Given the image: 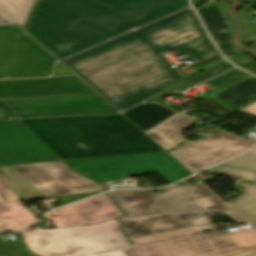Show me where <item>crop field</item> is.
Returning a JSON list of instances; mask_svg holds the SVG:
<instances>
[{
	"label": "crop field",
	"mask_w": 256,
	"mask_h": 256,
	"mask_svg": "<svg viewBox=\"0 0 256 256\" xmlns=\"http://www.w3.org/2000/svg\"><path fill=\"white\" fill-rule=\"evenodd\" d=\"M167 51L202 64L221 57L187 8L62 62L124 110L182 81Z\"/></svg>",
	"instance_id": "crop-field-1"
},
{
	"label": "crop field",
	"mask_w": 256,
	"mask_h": 256,
	"mask_svg": "<svg viewBox=\"0 0 256 256\" xmlns=\"http://www.w3.org/2000/svg\"><path fill=\"white\" fill-rule=\"evenodd\" d=\"M186 6V0H39L25 29L64 58Z\"/></svg>",
	"instance_id": "crop-field-2"
},
{
	"label": "crop field",
	"mask_w": 256,
	"mask_h": 256,
	"mask_svg": "<svg viewBox=\"0 0 256 256\" xmlns=\"http://www.w3.org/2000/svg\"><path fill=\"white\" fill-rule=\"evenodd\" d=\"M111 198L127 215L119 218L128 238L197 226L210 216L225 213L234 222H246L200 183L174 185L161 193L114 191Z\"/></svg>",
	"instance_id": "crop-field-3"
},
{
	"label": "crop field",
	"mask_w": 256,
	"mask_h": 256,
	"mask_svg": "<svg viewBox=\"0 0 256 256\" xmlns=\"http://www.w3.org/2000/svg\"><path fill=\"white\" fill-rule=\"evenodd\" d=\"M20 121L62 159L162 151L120 114Z\"/></svg>",
	"instance_id": "crop-field-4"
},
{
	"label": "crop field",
	"mask_w": 256,
	"mask_h": 256,
	"mask_svg": "<svg viewBox=\"0 0 256 256\" xmlns=\"http://www.w3.org/2000/svg\"><path fill=\"white\" fill-rule=\"evenodd\" d=\"M114 219L98 225L23 232L33 252L42 256H79L131 246Z\"/></svg>",
	"instance_id": "crop-field-5"
},
{
	"label": "crop field",
	"mask_w": 256,
	"mask_h": 256,
	"mask_svg": "<svg viewBox=\"0 0 256 256\" xmlns=\"http://www.w3.org/2000/svg\"><path fill=\"white\" fill-rule=\"evenodd\" d=\"M254 228V227H253ZM253 228L199 232L123 249L127 256H234L256 249Z\"/></svg>",
	"instance_id": "crop-field-6"
},
{
	"label": "crop field",
	"mask_w": 256,
	"mask_h": 256,
	"mask_svg": "<svg viewBox=\"0 0 256 256\" xmlns=\"http://www.w3.org/2000/svg\"><path fill=\"white\" fill-rule=\"evenodd\" d=\"M169 155V154H168ZM165 152L64 161L73 170L98 182L155 172L172 183L190 175Z\"/></svg>",
	"instance_id": "crop-field-7"
},
{
	"label": "crop field",
	"mask_w": 256,
	"mask_h": 256,
	"mask_svg": "<svg viewBox=\"0 0 256 256\" xmlns=\"http://www.w3.org/2000/svg\"><path fill=\"white\" fill-rule=\"evenodd\" d=\"M13 166L28 183L46 197L94 192L104 189L103 186L73 172L62 161Z\"/></svg>",
	"instance_id": "crop-field-8"
},
{
	"label": "crop field",
	"mask_w": 256,
	"mask_h": 256,
	"mask_svg": "<svg viewBox=\"0 0 256 256\" xmlns=\"http://www.w3.org/2000/svg\"><path fill=\"white\" fill-rule=\"evenodd\" d=\"M17 118L117 113L99 95L4 100Z\"/></svg>",
	"instance_id": "crop-field-9"
},
{
	"label": "crop field",
	"mask_w": 256,
	"mask_h": 256,
	"mask_svg": "<svg viewBox=\"0 0 256 256\" xmlns=\"http://www.w3.org/2000/svg\"><path fill=\"white\" fill-rule=\"evenodd\" d=\"M254 146L256 145L219 131L169 154L194 174Z\"/></svg>",
	"instance_id": "crop-field-10"
},
{
	"label": "crop field",
	"mask_w": 256,
	"mask_h": 256,
	"mask_svg": "<svg viewBox=\"0 0 256 256\" xmlns=\"http://www.w3.org/2000/svg\"><path fill=\"white\" fill-rule=\"evenodd\" d=\"M59 160L18 120L0 122V165Z\"/></svg>",
	"instance_id": "crop-field-11"
},
{
	"label": "crop field",
	"mask_w": 256,
	"mask_h": 256,
	"mask_svg": "<svg viewBox=\"0 0 256 256\" xmlns=\"http://www.w3.org/2000/svg\"><path fill=\"white\" fill-rule=\"evenodd\" d=\"M95 93L77 77L5 81L0 98Z\"/></svg>",
	"instance_id": "crop-field-12"
},
{
	"label": "crop field",
	"mask_w": 256,
	"mask_h": 256,
	"mask_svg": "<svg viewBox=\"0 0 256 256\" xmlns=\"http://www.w3.org/2000/svg\"><path fill=\"white\" fill-rule=\"evenodd\" d=\"M121 215L124 214L104 194L58 209L45 216V218L54 220V227H67L95 224Z\"/></svg>",
	"instance_id": "crop-field-13"
},
{
	"label": "crop field",
	"mask_w": 256,
	"mask_h": 256,
	"mask_svg": "<svg viewBox=\"0 0 256 256\" xmlns=\"http://www.w3.org/2000/svg\"><path fill=\"white\" fill-rule=\"evenodd\" d=\"M223 165L256 171V150L226 162ZM208 172L252 181L251 186L239 191L240 193H244L243 195L227 202V204L248 221L256 218V173L223 166H219Z\"/></svg>",
	"instance_id": "crop-field-14"
},
{
	"label": "crop field",
	"mask_w": 256,
	"mask_h": 256,
	"mask_svg": "<svg viewBox=\"0 0 256 256\" xmlns=\"http://www.w3.org/2000/svg\"><path fill=\"white\" fill-rule=\"evenodd\" d=\"M56 61L23 32L6 78L47 76Z\"/></svg>",
	"instance_id": "crop-field-15"
},
{
	"label": "crop field",
	"mask_w": 256,
	"mask_h": 256,
	"mask_svg": "<svg viewBox=\"0 0 256 256\" xmlns=\"http://www.w3.org/2000/svg\"><path fill=\"white\" fill-rule=\"evenodd\" d=\"M224 6L217 2L212 5L197 9L198 14L205 23L210 35L226 55V57L238 53L232 46V29L230 22L224 17Z\"/></svg>",
	"instance_id": "crop-field-16"
},
{
	"label": "crop field",
	"mask_w": 256,
	"mask_h": 256,
	"mask_svg": "<svg viewBox=\"0 0 256 256\" xmlns=\"http://www.w3.org/2000/svg\"><path fill=\"white\" fill-rule=\"evenodd\" d=\"M192 121L193 119L176 113L157 126L146 131L145 134L166 151L170 147L186 140L182 134V130Z\"/></svg>",
	"instance_id": "crop-field-17"
},
{
	"label": "crop field",
	"mask_w": 256,
	"mask_h": 256,
	"mask_svg": "<svg viewBox=\"0 0 256 256\" xmlns=\"http://www.w3.org/2000/svg\"><path fill=\"white\" fill-rule=\"evenodd\" d=\"M0 194L7 201L44 197L28 184L12 165L0 166Z\"/></svg>",
	"instance_id": "crop-field-18"
},
{
	"label": "crop field",
	"mask_w": 256,
	"mask_h": 256,
	"mask_svg": "<svg viewBox=\"0 0 256 256\" xmlns=\"http://www.w3.org/2000/svg\"><path fill=\"white\" fill-rule=\"evenodd\" d=\"M210 100L236 112L256 101V77L250 75Z\"/></svg>",
	"instance_id": "crop-field-19"
},
{
	"label": "crop field",
	"mask_w": 256,
	"mask_h": 256,
	"mask_svg": "<svg viewBox=\"0 0 256 256\" xmlns=\"http://www.w3.org/2000/svg\"><path fill=\"white\" fill-rule=\"evenodd\" d=\"M174 113L160 105L148 103L125 111L122 114L144 132Z\"/></svg>",
	"instance_id": "crop-field-20"
},
{
	"label": "crop field",
	"mask_w": 256,
	"mask_h": 256,
	"mask_svg": "<svg viewBox=\"0 0 256 256\" xmlns=\"http://www.w3.org/2000/svg\"><path fill=\"white\" fill-rule=\"evenodd\" d=\"M36 221L20 202L0 204V231L25 228Z\"/></svg>",
	"instance_id": "crop-field-21"
},
{
	"label": "crop field",
	"mask_w": 256,
	"mask_h": 256,
	"mask_svg": "<svg viewBox=\"0 0 256 256\" xmlns=\"http://www.w3.org/2000/svg\"><path fill=\"white\" fill-rule=\"evenodd\" d=\"M248 75L249 74L241 70L233 69L225 74H222L216 78L205 82V84L208 85L205 88H207L208 90L203 93L198 91L192 97L195 99L206 101L207 99H210L214 95L218 94L219 92L235 84L236 82L240 81Z\"/></svg>",
	"instance_id": "crop-field-22"
},
{
	"label": "crop field",
	"mask_w": 256,
	"mask_h": 256,
	"mask_svg": "<svg viewBox=\"0 0 256 256\" xmlns=\"http://www.w3.org/2000/svg\"><path fill=\"white\" fill-rule=\"evenodd\" d=\"M35 0H0V12L18 25H23L31 5ZM0 14V24H10Z\"/></svg>",
	"instance_id": "crop-field-23"
},
{
	"label": "crop field",
	"mask_w": 256,
	"mask_h": 256,
	"mask_svg": "<svg viewBox=\"0 0 256 256\" xmlns=\"http://www.w3.org/2000/svg\"><path fill=\"white\" fill-rule=\"evenodd\" d=\"M19 30L16 26L0 27V78H4Z\"/></svg>",
	"instance_id": "crop-field-24"
},
{
	"label": "crop field",
	"mask_w": 256,
	"mask_h": 256,
	"mask_svg": "<svg viewBox=\"0 0 256 256\" xmlns=\"http://www.w3.org/2000/svg\"><path fill=\"white\" fill-rule=\"evenodd\" d=\"M233 67L234 66L225 62V63H223V64H221V65H219V66H217V67H215V68H213V69H211V70H209V71H207V72H205V73H203V74H201V75H199V76H197V77H195V78H193V79H191L187 82H184V83H182V84H180V85H178V86H176V87H174V88H172V89H170V90H168V91H166V92H164V93H162V94H160V95H158V96H156V97H154V98H152L148 101H156L165 94L180 93V92H182V91H184V90H186V89H188V88H190V87H192V86H194L198 83H201V82H203V81H205V80H207V79H209V78H211V77H213V76H215V75H217L221 72H224L228 69H231Z\"/></svg>",
	"instance_id": "crop-field-25"
},
{
	"label": "crop field",
	"mask_w": 256,
	"mask_h": 256,
	"mask_svg": "<svg viewBox=\"0 0 256 256\" xmlns=\"http://www.w3.org/2000/svg\"><path fill=\"white\" fill-rule=\"evenodd\" d=\"M214 228L215 227L211 223H209V224L202 225V226H197V227H192V228H187V229H181V230H176V231H170V232L150 235V236L137 238V239H131V241L133 242L134 245H137V244H142V243H146V242L166 239V238H170V237L190 234V233L209 230V229H214Z\"/></svg>",
	"instance_id": "crop-field-26"
},
{
	"label": "crop field",
	"mask_w": 256,
	"mask_h": 256,
	"mask_svg": "<svg viewBox=\"0 0 256 256\" xmlns=\"http://www.w3.org/2000/svg\"><path fill=\"white\" fill-rule=\"evenodd\" d=\"M247 7L237 11L238 17L243 23V43L256 40V19L245 12Z\"/></svg>",
	"instance_id": "crop-field-27"
},
{
	"label": "crop field",
	"mask_w": 256,
	"mask_h": 256,
	"mask_svg": "<svg viewBox=\"0 0 256 256\" xmlns=\"http://www.w3.org/2000/svg\"><path fill=\"white\" fill-rule=\"evenodd\" d=\"M239 112H242V113H245V114H249L251 116H255L256 117V102L248 105L247 107L243 108ZM252 130H256V127L253 128ZM248 139L256 143V135H254V136H252V137H250Z\"/></svg>",
	"instance_id": "crop-field-28"
},
{
	"label": "crop field",
	"mask_w": 256,
	"mask_h": 256,
	"mask_svg": "<svg viewBox=\"0 0 256 256\" xmlns=\"http://www.w3.org/2000/svg\"><path fill=\"white\" fill-rule=\"evenodd\" d=\"M95 194H98V193L77 195V196H68V197H60V198H58V201L61 203V205H63V204H67V203H70V202H73V201H76V200H80V199H83V198H86V197H89V196H92V195H95Z\"/></svg>",
	"instance_id": "crop-field-29"
},
{
	"label": "crop field",
	"mask_w": 256,
	"mask_h": 256,
	"mask_svg": "<svg viewBox=\"0 0 256 256\" xmlns=\"http://www.w3.org/2000/svg\"><path fill=\"white\" fill-rule=\"evenodd\" d=\"M85 256H126V255L122 253L120 249H117V250L99 252V253L85 255Z\"/></svg>",
	"instance_id": "crop-field-30"
},
{
	"label": "crop field",
	"mask_w": 256,
	"mask_h": 256,
	"mask_svg": "<svg viewBox=\"0 0 256 256\" xmlns=\"http://www.w3.org/2000/svg\"><path fill=\"white\" fill-rule=\"evenodd\" d=\"M62 75H73L70 73L64 66H62L59 62L56 64L54 69L53 76H62Z\"/></svg>",
	"instance_id": "crop-field-31"
},
{
	"label": "crop field",
	"mask_w": 256,
	"mask_h": 256,
	"mask_svg": "<svg viewBox=\"0 0 256 256\" xmlns=\"http://www.w3.org/2000/svg\"><path fill=\"white\" fill-rule=\"evenodd\" d=\"M14 118L6 106L0 101V119Z\"/></svg>",
	"instance_id": "crop-field-32"
},
{
	"label": "crop field",
	"mask_w": 256,
	"mask_h": 256,
	"mask_svg": "<svg viewBox=\"0 0 256 256\" xmlns=\"http://www.w3.org/2000/svg\"><path fill=\"white\" fill-rule=\"evenodd\" d=\"M237 65L256 74V61L251 64L248 62H245V63H238Z\"/></svg>",
	"instance_id": "crop-field-33"
},
{
	"label": "crop field",
	"mask_w": 256,
	"mask_h": 256,
	"mask_svg": "<svg viewBox=\"0 0 256 256\" xmlns=\"http://www.w3.org/2000/svg\"><path fill=\"white\" fill-rule=\"evenodd\" d=\"M249 59H251L250 56H247V55H245V54H241V55H238V56H236V57L230 59V61H232L233 63H237V62L247 61V60H249Z\"/></svg>",
	"instance_id": "crop-field-34"
},
{
	"label": "crop field",
	"mask_w": 256,
	"mask_h": 256,
	"mask_svg": "<svg viewBox=\"0 0 256 256\" xmlns=\"http://www.w3.org/2000/svg\"><path fill=\"white\" fill-rule=\"evenodd\" d=\"M203 1H206V0H192L193 4L196 5L198 3H201Z\"/></svg>",
	"instance_id": "crop-field-35"
},
{
	"label": "crop field",
	"mask_w": 256,
	"mask_h": 256,
	"mask_svg": "<svg viewBox=\"0 0 256 256\" xmlns=\"http://www.w3.org/2000/svg\"><path fill=\"white\" fill-rule=\"evenodd\" d=\"M254 251H256V250H253V251H250V252H247V253H243V254H240V255H237V256H245V255L250 254V253H252Z\"/></svg>",
	"instance_id": "crop-field-36"
},
{
	"label": "crop field",
	"mask_w": 256,
	"mask_h": 256,
	"mask_svg": "<svg viewBox=\"0 0 256 256\" xmlns=\"http://www.w3.org/2000/svg\"><path fill=\"white\" fill-rule=\"evenodd\" d=\"M250 6L256 8V0H254Z\"/></svg>",
	"instance_id": "crop-field-37"
},
{
	"label": "crop field",
	"mask_w": 256,
	"mask_h": 256,
	"mask_svg": "<svg viewBox=\"0 0 256 256\" xmlns=\"http://www.w3.org/2000/svg\"><path fill=\"white\" fill-rule=\"evenodd\" d=\"M3 82H4V81H0V90H1V87H2Z\"/></svg>",
	"instance_id": "crop-field-38"
},
{
	"label": "crop field",
	"mask_w": 256,
	"mask_h": 256,
	"mask_svg": "<svg viewBox=\"0 0 256 256\" xmlns=\"http://www.w3.org/2000/svg\"><path fill=\"white\" fill-rule=\"evenodd\" d=\"M2 201H5V200L0 196V202H2Z\"/></svg>",
	"instance_id": "crop-field-39"
},
{
	"label": "crop field",
	"mask_w": 256,
	"mask_h": 256,
	"mask_svg": "<svg viewBox=\"0 0 256 256\" xmlns=\"http://www.w3.org/2000/svg\"><path fill=\"white\" fill-rule=\"evenodd\" d=\"M252 224H254V225L256 226V221L252 222ZM254 225H253V226H254Z\"/></svg>",
	"instance_id": "crop-field-40"
},
{
	"label": "crop field",
	"mask_w": 256,
	"mask_h": 256,
	"mask_svg": "<svg viewBox=\"0 0 256 256\" xmlns=\"http://www.w3.org/2000/svg\"><path fill=\"white\" fill-rule=\"evenodd\" d=\"M250 256H256V253H254V254H252V255H250Z\"/></svg>",
	"instance_id": "crop-field-41"
},
{
	"label": "crop field",
	"mask_w": 256,
	"mask_h": 256,
	"mask_svg": "<svg viewBox=\"0 0 256 256\" xmlns=\"http://www.w3.org/2000/svg\"><path fill=\"white\" fill-rule=\"evenodd\" d=\"M248 1H251V0H247L246 2H248Z\"/></svg>",
	"instance_id": "crop-field-42"
},
{
	"label": "crop field",
	"mask_w": 256,
	"mask_h": 256,
	"mask_svg": "<svg viewBox=\"0 0 256 256\" xmlns=\"http://www.w3.org/2000/svg\"><path fill=\"white\" fill-rule=\"evenodd\" d=\"M256 44V43H255Z\"/></svg>",
	"instance_id": "crop-field-43"
}]
</instances>
